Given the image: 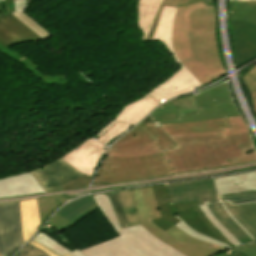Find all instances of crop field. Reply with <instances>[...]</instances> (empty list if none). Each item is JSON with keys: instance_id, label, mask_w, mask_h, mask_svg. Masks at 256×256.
Returning a JSON list of instances; mask_svg holds the SVG:
<instances>
[{"instance_id": "obj_4", "label": "crop field", "mask_w": 256, "mask_h": 256, "mask_svg": "<svg viewBox=\"0 0 256 256\" xmlns=\"http://www.w3.org/2000/svg\"><path fill=\"white\" fill-rule=\"evenodd\" d=\"M91 196L119 236L83 249L85 256H184L156 239L140 225L121 229L107 194Z\"/></svg>"}, {"instance_id": "obj_25", "label": "crop field", "mask_w": 256, "mask_h": 256, "mask_svg": "<svg viewBox=\"0 0 256 256\" xmlns=\"http://www.w3.org/2000/svg\"><path fill=\"white\" fill-rule=\"evenodd\" d=\"M65 200L67 199L63 195L56 196V197L36 199L41 224L48 217V215Z\"/></svg>"}, {"instance_id": "obj_26", "label": "crop field", "mask_w": 256, "mask_h": 256, "mask_svg": "<svg viewBox=\"0 0 256 256\" xmlns=\"http://www.w3.org/2000/svg\"><path fill=\"white\" fill-rule=\"evenodd\" d=\"M37 241L38 243L50 248L54 252L58 253L59 255H64L68 254L70 256H84L81 250L79 251L78 249L73 250L72 252L59 244L57 241L51 239L41 231L38 233V235L33 239Z\"/></svg>"}, {"instance_id": "obj_40", "label": "crop field", "mask_w": 256, "mask_h": 256, "mask_svg": "<svg viewBox=\"0 0 256 256\" xmlns=\"http://www.w3.org/2000/svg\"><path fill=\"white\" fill-rule=\"evenodd\" d=\"M27 8V0H16V10H24Z\"/></svg>"}, {"instance_id": "obj_28", "label": "crop field", "mask_w": 256, "mask_h": 256, "mask_svg": "<svg viewBox=\"0 0 256 256\" xmlns=\"http://www.w3.org/2000/svg\"><path fill=\"white\" fill-rule=\"evenodd\" d=\"M181 115H186L199 110L194 95L171 100Z\"/></svg>"}, {"instance_id": "obj_32", "label": "crop field", "mask_w": 256, "mask_h": 256, "mask_svg": "<svg viewBox=\"0 0 256 256\" xmlns=\"http://www.w3.org/2000/svg\"><path fill=\"white\" fill-rule=\"evenodd\" d=\"M243 81L249 90V94L252 98L254 110L256 113V67L244 75Z\"/></svg>"}, {"instance_id": "obj_24", "label": "crop field", "mask_w": 256, "mask_h": 256, "mask_svg": "<svg viewBox=\"0 0 256 256\" xmlns=\"http://www.w3.org/2000/svg\"><path fill=\"white\" fill-rule=\"evenodd\" d=\"M128 226L138 225L130 190L117 191Z\"/></svg>"}, {"instance_id": "obj_37", "label": "crop field", "mask_w": 256, "mask_h": 256, "mask_svg": "<svg viewBox=\"0 0 256 256\" xmlns=\"http://www.w3.org/2000/svg\"><path fill=\"white\" fill-rule=\"evenodd\" d=\"M243 251L248 256H256V243L245 244L243 246L236 247L232 250L226 251L228 254Z\"/></svg>"}, {"instance_id": "obj_22", "label": "crop field", "mask_w": 256, "mask_h": 256, "mask_svg": "<svg viewBox=\"0 0 256 256\" xmlns=\"http://www.w3.org/2000/svg\"><path fill=\"white\" fill-rule=\"evenodd\" d=\"M229 19L243 20L256 24V2L232 1Z\"/></svg>"}, {"instance_id": "obj_17", "label": "crop field", "mask_w": 256, "mask_h": 256, "mask_svg": "<svg viewBox=\"0 0 256 256\" xmlns=\"http://www.w3.org/2000/svg\"><path fill=\"white\" fill-rule=\"evenodd\" d=\"M230 214L256 239V203L231 206L224 202Z\"/></svg>"}, {"instance_id": "obj_14", "label": "crop field", "mask_w": 256, "mask_h": 256, "mask_svg": "<svg viewBox=\"0 0 256 256\" xmlns=\"http://www.w3.org/2000/svg\"><path fill=\"white\" fill-rule=\"evenodd\" d=\"M45 193L31 173L0 180V197Z\"/></svg>"}, {"instance_id": "obj_6", "label": "crop field", "mask_w": 256, "mask_h": 256, "mask_svg": "<svg viewBox=\"0 0 256 256\" xmlns=\"http://www.w3.org/2000/svg\"><path fill=\"white\" fill-rule=\"evenodd\" d=\"M171 174L173 173L164 151L139 157H118L106 154L93 183L115 184Z\"/></svg>"}, {"instance_id": "obj_18", "label": "crop field", "mask_w": 256, "mask_h": 256, "mask_svg": "<svg viewBox=\"0 0 256 256\" xmlns=\"http://www.w3.org/2000/svg\"><path fill=\"white\" fill-rule=\"evenodd\" d=\"M162 0H138V21L137 26L143 36L140 42L146 41L154 17Z\"/></svg>"}, {"instance_id": "obj_30", "label": "crop field", "mask_w": 256, "mask_h": 256, "mask_svg": "<svg viewBox=\"0 0 256 256\" xmlns=\"http://www.w3.org/2000/svg\"><path fill=\"white\" fill-rule=\"evenodd\" d=\"M16 18H18L20 21H22L25 25H27L29 28H31L34 32H36L39 36H41L43 39L49 38L50 35L48 32H46L42 27H40L36 22H34L30 17H28L23 12H14L12 13Z\"/></svg>"}, {"instance_id": "obj_23", "label": "crop field", "mask_w": 256, "mask_h": 256, "mask_svg": "<svg viewBox=\"0 0 256 256\" xmlns=\"http://www.w3.org/2000/svg\"><path fill=\"white\" fill-rule=\"evenodd\" d=\"M158 151H161V148L157 141L130 147V148H124V149H109L107 152L111 155H118V156H138V155H147L156 153Z\"/></svg>"}, {"instance_id": "obj_31", "label": "crop field", "mask_w": 256, "mask_h": 256, "mask_svg": "<svg viewBox=\"0 0 256 256\" xmlns=\"http://www.w3.org/2000/svg\"><path fill=\"white\" fill-rule=\"evenodd\" d=\"M176 218H178L181 222L178 223L177 225H175L176 227L180 228L181 230H183L184 232L188 233L189 235L193 236V237H196L198 239H201V240H204L206 242H209L211 244H214V245H218V246H222V247H225L227 249H230V247L227 245V244H224V243H220L214 239H211L209 237H206L196 231H194L193 229L189 228L177 215H175Z\"/></svg>"}, {"instance_id": "obj_41", "label": "crop field", "mask_w": 256, "mask_h": 256, "mask_svg": "<svg viewBox=\"0 0 256 256\" xmlns=\"http://www.w3.org/2000/svg\"><path fill=\"white\" fill-rule=\"evenodd\" d=\"M8 47H9L8 45H6L4 42L0 41V51L5 54L12 55L13 52L9 51Z\"/></svg>"}, {"instance_id": "obj_34", "label": "crop field", "mask_w": 256, "mask_h": 256, "mask_svg": "<svg viewBox=\"0 0 256 256\" xmlns=\"http://www.w3.org/2000/svg\"><path fill=\"white\" fill-rule=\"evenodd\" d=\"M110 201L112 203V206L114 208L115 214L117 216V219L121 225V227H128L125 220H124V216H123V212L119 203V199H118V195L116 192H111V193H107Z\"/></svg>"}, {"instance_id": "obj_19", "label": "crop field", "mask_w": 256, "mask_h": 256, "mask_svg": "<svg viewBox=\"0 0 256 256\" xmlns=\"http://www.w3.org/2000/svg\"><path fill=\"white\" fill-rule=\"evenodd\" d=\"M97 208L91 196L80 198L71 202L58 212V216L75 224Z\"/></svg>"}, {"instance_id": "obj_15", "label": "crop field", "mask_w": 256, "mask_h": 256, "mask_svg": "<svg viewBox=\"0 0 256 256\" xmlns=\"http://www.w3.org/2000/svg\"><path fill=\"white\" fill-rule=\"evenodd\" d=\"M214 180L219 195L256 191V171Z\"/></svg>"}, {"instance_id": "obj_42", "label": "crop field", "mask_w": 256, "mask_h": 256, "mask_svg": "<svg viewBox=\"0 0 256 256\" xmlns=\"http://www.w3.org/2000/svg\"><path fill=\"white\" fill-rule=\"evenodd\" d=\"M217 256H247L246 254H244L243 252H240V253H236V254H231V255H228L226 254L225 252L217 255Z\"/></svg>"}, {"instance_id": "obj_20", "label": "crop field", "mask_w": 256, "mask_h": 256, "mask_svg": "<svg viewBox=\"0 0 256 256\" xmlns=\"http://www.w3.org/2000/svg\"><path fill=\"white\" fill-rule=\"evenodd\" d=\"M24 241L26 242L41 226L35 199L20 201Z\"/></svg>"}, {"instance_id": "obj_5", "label": "crop field", "mask_w": 256, "mask_h": 256, "mask_svg": "<svg viewBox=\"0 0 256 256\" xmlns=\"http://www.w3.org/2000/svg\"><path fill=\"white\" fill-rule=\"evenodd\" d=\"M139 223L149 233L186 256H215L227 249L193 238L174 227L160 230L151 220L160 218L151 187L131 190ZM212 247H208V246Z\"/></svg>"}, {"instance_id": "obj_1", "label": "crop field", "mask_w": 256, "mask_h": 256, "mask_svg": "<svg viewBox=\"0 0 256 256\" xmlns=\"http://www.w3.org/2000/svg\"><path fill=\"white\" fill-rule=\"evenodd\" d=\"M200 111L181 116L171 101L150 114L156 123H180L226 117L230 128L223 132L170 136L146 117L110 148H124L157 140L165 150L174 174L256 161L250 135L230 97L227 83L195 95ZM215 99V101H213ZM163 107V108H161ZM124 142V144H122Z\"/></svg>"}, {"instance_id": "obj_9", "label": "crop field", "mask_w": 256, "mask_h": 256, "mask_svg": "<svg viewBox=\"0 0 256 256\" xmlns=\"http://www.w3.org/2000/svg\"><path fill=\"white\" fill-rule=\"evenodd\" d=\"M170 204L198 202L199 205L205 202H218L216 188L213 180H198L166 184Z\"/></svg>"}, {"instance_id": "obj_10", "label": "crop field", "mask_w": 256, "mask_h": 256, "mask_svg": "<svg viewBox=\"0 0 256 256\" xmlns=\"http://www.w3.org/2000/svg\"><path fill=\"white\" fill-rule=\"evenodd\" d=\"M15 11L14 0L0 4V39L8 45L42 39L10 13ZM0 40V41H1Z\"/></svg>"}, {"instance_id": "obj_8", "label": "crop field", "mask_w": 256, "mask_h": 256, "mask_svg": "<svg viewBox=\"0 0 256 256\" xmlns=\"http://www.w3.org/2000/svg\"><path fill=\"white\" fill-rule=\"evenodd\" d=\"M153 192L155 199L161 213L162 218L153 220V222L162 230H167L173 225L180 222L173 215L192 208L200 219L212 230V232L219 238L221 242L227 243L231 248L233 246L219 233V231L206 219L205 215L198 208L197 203L174 204L170 205L168 201L167 190L165 184L154 186Z\"/></svg>"}, {"instance_id": "obj_21", "label": "crop field", "mask_w": 256, "mask_h": 256, "mask_svg": "<svg viewBox=\"0 0 256 256\" xmlns=\"http://www.w3.org/2000/svg\"><path fill=\"white\" fill-rule=\"evenodd\" d=\"M214 217L241 243L254 242L225 212L221 203L208 204Z\"/></svg>"}, {"instance_id": "obj_33", "label": "crop field", "mask_w": 256, "mask_h": 256, "mask_svg": "<svg viewBox=\"0 0 256 256\" xmlns=\"http://www.w3.org/2000/svg\"><path fill=\"white\" fill-rule=\"evenodd\" d=\"M220 201L229 200L231 204H239L256 201V192L219 196Z\"/></svg>"}, {"instance_id": "obj_16", "label": "crop field", "mask_w": 256, "mask_h": 256, "mask_svg": "<svg viewBox=\"0 0 256 256\" xmlns=\"http://www.w3.org/2000/svg\"><path fill=\"white\" fill-rule=\"evenodd\" d=\"M157 125L161 127L168 135L216 132L222 131L221 128L229 127L225 118L202 122Z\"/></svg>"}, {"instance_id": "obj_27", "label": "crop field", "mask_w": 256, "mask_h": 256, "mask_svg": "<svg viewBox=\"0 0 256 256\" xmlns=\"http://www.w3.org/2000/svg\"><path fill=\"white\" fill-rule=\"evenodd\" d=\"M178 216L191 228L194 230L217 239V237L210 231V229L199 219V217L192 211V209L187 210L178 214ZM218 240V239H217Z\"/></svg>"}, {"instance_id": "obj_44", "label": "crop field", "mask_w": 256, "mask_h": 256, "mask_svg": "<svg viewBox=\"0 0 256 256\" xmlns=\"http://www.w3.org/2000/svg\"><path fill=\"white\" fill-rule=\"evenodd\" d=\"M0 3H1V1H0Z\"/></svg>"}, {"instance_id": "obj_36", "label": "crop field", "mask_w": 256, "mask_h": 256, "mask_svg": "<svg viewBox=\"0 0 256 256\" xmlns=\"http://www.w3.org/2000/svg\"><path fill=\"white\" fill-rule=\"evenodd\" d=\"M17 256H50L46 252L28 244Z\"/></svg>"}, {"instance_id": "obj_43", "label": "crop field", "mask_w": 256, "mask_h": 256, "mask_svg": "<svg viewBox=\"0 0 256 256\" xmlns=\"http://www.w3.org/2000/svg\"><path fill=\"white\" fill-rule=\"evenodd\" d=\"M222 203V206L225 208V206H224V204H223V202H221ZM225 210H226V212L229 214V212L227 211V209L225 208ZM230 215V214H229ZM230 217L235 221V219L230 215ZM236 222V221H235ZM237 223V222H236ZM238 224V223H237ZM239 225V224H238ZM240 226V225H239ZM241 227V226H240ZM242 228V227H241ZM253 240H254V238L244 229V228H242ZM255 241V240H254Z\"/></svg>"}, {"instance_id": "obj_12", "label": "crop field", "mask_w": 256, "mask_h": 256, "mask_svg": "<svg viewBox=\"0 0 256 256\" xmlns=\"http://www.w3.org/2000/svg\"><path fill=\"white\" fill-rule=\"evenodd\" d=\"M32 174L46 193L62 191L60 186L83 175L61 159Z\"/></svg>"}, {"instance_id": "obj_39", "label": "crop field", "mask_w": 256, "mask_h": 256, "mask_svg": "<svg viewBox=\"0 0 256 256\" xmlns=\"http://www.w3.org/2000/svg\"><path fill=\"white\" fill-rule=\"evenodd\" d=\"M30 244H32V245H34V246H36V247H38V248H40V249L46 251V252H47L48 254H50L51 256H59V255H57L56 253H54L53 251H51L50 249H48V248H46V247H44V246H42V245L36 243V242L33 241V240L30 242ZM64 256H68V255L66 254V255H64Z\"/></svg>"}, {"instance_id": "obj_3", "label": "crop field", "mask_w": 256, "mask_h": 256, "mask_svg": "<svg viewBox=\"0 0 256 256\" xmlns=\"http://www.w3.org/2000/svg\"><path fill=\"white\" fill-rule=\"evenodd\" d=\"M176 9L177 8L174 7H163L156 31L151 41H161L178 61L181 69L159 84L143 98L125 106L111 123L93 137L103 145H107L110 141L128 131L150 110L160 105V103L174 96L196 90L194 87L197 89L203 87V85L182 66L171 46L172 25ZM175 86H177V88H175Z\"/></svg>"}, {"instance_id": "obj_45", "label": "crop field", "mask_w": 256, "mask_h": 256, "mask_svg": "<svg viewBox=\"0 0 256 256\" xmlns=\"http://www.w3.org/2000/svg\"><path fill=\"white\" fill-rule=\"evenodd\" d=\"M1 256V255H0Z\"/></svg>"}, {"instance_id": "obj_13", "label": "crop field", "mask_w": 256, "mask_h": 256, "mask_svg": "<svg viewBox=\"0 0 256 256\" xmlns=\"http://www.w3.org/2000/svg\"><path fill=\"white\" fill-rule=\"evenodd\" d=\"M102 147L104 146L93 139H89L79 146L78 150L71 151L61 159L81 173L93 176L98 161L105 153V150H103Z\"/></svg>"}, {"instance_id": "obj_35", "label": "crop field", "mask_w": 256, "mask_h": 256, "mask_svg": "<svg viewBox=\"0 0 256 256\" xmlns=\"http://www.w3.org/2000/svg\"><path fill=\"white\" fill-rule=\"evenodd\" d=\"M92 178L90 176H82L64 186H62V190L63 191H68V190H78L81 188L86 187L90 182H91Z\"/></svg>"}, {"instance_id": "obj_11", "label": "crop field", "mask_w": 256, "mask_h": 256, "mask_svg": "<svg viewBox=\"0 0 256 256\" xmlns=\"http://www.w3.org/2000/svg\"><path fill=\"white\" fill-rule=\"evenodd\" d=\"M233 31V47L236 68L256 59V25L229 20Z\"/></svg>"}, {"instance_id": "obj_2", "label": "crop field", "mask_w": 256, "mask_h": 256, "mask_svg": "<svg viewBox=\"0 0 256 256\" xmlns=\"http://www.w3.org/2000/svg\"><path fill=\"white\" fill-rule=\"evenodd\" d=\"M163 5L178 7L172 46L184 67L203 85L222 76L225 70L216 46L213 0H163L147 41L152 38Z\"/></svg>"}, {"instance_id": "obj_7", "label": "crop field", "mask_w": 256, "mask_h": 256, "mask_svg": "<svg viewBox=\"0 0 256 256\" xmlns=\"http://www.w3.org/2000/svg\"><path fill=\"white\" fill-rule=\"evenodd\" d=\"M23 244L19 201L0 204V254L11 256Z\"/></svg>"}, {"instance_id": "obj_38", "label": "crop field", "mask_w": 256, "mask_h": 256, "mask_svg": "<svg viewBox=\"0 0 256 256\" xmlns=\"http://www.w3.org/2000/svg\"><path fill=\"white\" fill-rule=\"evenodd\" d=\"M49 223H51L53 226L58 228L61 232H63L65 229H67L68 227L73 225V224L63 220L62 218L56 216V215L54 216V218Z\"/></svg>"}, {"instance_id": "obj_29", "label": "crop field", "mask_w": 256, "mask_h": 256, "mask_svg": "<svg viewBox=\"0 0 256 256\" xmlns=\"http://www.w3.org/2000/svg\"><path fill=\"white\" fill-rule=\"evenodd\" d=\"M202 212L206 215L207 219L221 232V234L234 246L241 245L211 214L208 208L200 206Z\"/></svg>"}]
</instances>
